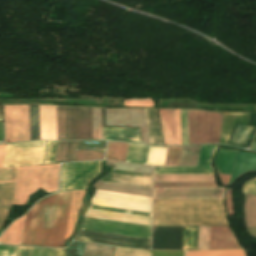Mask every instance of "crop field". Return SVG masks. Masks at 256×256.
Segmentation results:
<instances>
[{"instance_id":"crop-field-1","label":"crop field","mask_w":256,"mask_h":256,"mask_svg":"<svg viewBox=\"0 0 256 256\" xmlns=\"http://www.w3.org/2000/svg\"><path fill=\"white\" fill-rule=\"evenodd\" d=\"M72 191L39 200L27 213L21 245L63 247Z\"/></svg>"},{"instance_id":"crop-field-2","label":"crop field","mask_w":256,"mask_h":256,"mask_svg":"<svg viewBox=\"0 0 256 256\" xmlns=\"http://www.w3.org/2000/svg\"><path fill=\"white\" fill-rule=\"evenodd\" d=\"M229 225L223 199H154L153 226Z\"/></svg>"},{"instance_id":"crop-field-3","label":"crop field","mask_w":256,"mask_h":256,"mask_svg":"<svg viewBox=\"0 0 256 256\" xmlns=\"http://www.w3.org/2000/svg\"><path fill=\"white\" fill-rule=\"evenodd\" d=\"M60 164L16 167L13 204H26L30 194L40 187L57 191Z\"/></svg>"},{"instance_id":"crop-field-4","label":"crop field","mask_w":256,"mask_h":256,"mask_svg":"<svg viewBox=\"0 0 256 256\" xmlns=\"http://www.w3.org/2000/svg\"><path fill=\"white\" fill-rule=\"evenodd\" d=\"M58 140L93 139L92 108L56 106Z\"/></svg>"},{"instance_id":"crop-field-5","label":"crop field","mask_w":256,"mask_h":256,"mask_svg":"<svg viewBox=\"0 0 256 256\" xmlns=\"http://www.w3.org/2000/svg\"><path fill=\"white\" fill-rule=\"evenodd\" d=\"M189 144L220 143L222 113L187 110Z\"/></svg>"},{"instance_id":"crop-field-6","label":"crop field","mask_w":256,"mask_h":256,"mask_svg":"<svg viewBox=\"0 0 256 256\" xmlns=\"http://www.w3.org/2000/svg\"><path fill=\"white\" fill-rule=\"evenodd\" d=\"M101 173V161L62 164L60 190L85 189Z\"/></svg>"},{"instance_id":"crop-field-7","label":"crop field","mask_w":256,"mask_h":256,"mask_svg":"<svg viewBox=\"0 0 256 256\" xmlns=\"http://www.w3.org/2000/svg\"><path fill=\"white\" fill-rule=\"evenodd\" d=\"M5 142L30 140L28 105L3 106Z\"/></svg>"},{"instance_id":"crop-field-8","label":"crop field","mask_w":256,"mask_h":256,"mask_svg":"<svg viewBox=\"0 0 256 256\" xmlns=\"http://www.w3.org/2000/svg\"><path fill=\"white\" fill-rule=\"evenodd\" d=\"M45 141L8 144L3 166L41 164Z\"/></svg>"},{"instance_id":"crop-field-9","label":"crop field","mask_w":256,"mask_h":256,"mask_svg":"<svg viewBox=\"0 0 256 256\" xmlns=\"http://www.w3.org/2000/svg\"><path fill=\"white\" fill-rule=\"evenodd\" d=\"M106 126L141 127L143 143L149 144L144 109H106Z\"/></svg>"},{"instance_id":"crop-field-10","label":"crop field","mask_w":256,"mask_h":256,"mask_svg":"<svg viewBox=\"0 0 256 256\" xmlns=\"http://www.w3.org/2000/svg\"><path fill=\"white\" fill-rule=\"evenodd\" d=\"M82 229L150 239L151 227L85 218Z\"/></svg>"},{"instance_id":"crop-field-11","label":"crop field","mask_w":256,"mask_h":256,"mask_svg":"<svg viewBox=\"0 0 256 256\" xmlns=\"http://www.w3.org/2000/svg\"><path fill=\"white\" fill-rule=\"evenodd\" d=\"M79 241L150 249V240L82 230L75 238Z\"/></svg>"},{"instance_id":"crop-field-12","label":"crop field","mask_w":256,"mask_h":256,"mask_svg":"<svg viewBox=\"0 0 256 256\" xmlns=\"http://www.w3.org/2000/svg\"><path fill=\"white\" fill-rule=\"evenodd\" d=\"M218 146H201L197 167H155V174L215 173L211 161Z\"/></svg>"},{"instance_id":"crop-field-13","label":"crop field","mask_w":256,"mask_h":256,"mask_svg":"<svg viewBox=\"0 0 256 256\" xmlns=\"http://www.w3.org/2000/svg\"><path fill=\"white\" fill-rule=\"evenodd\" d=\"M224 188L154 189V198H223Z\"/></svg>"},{"instance_id":"crop-field-14","label":"crop field","mask_w":256,"mask_h":256,"mask_svg":"<svg viewBox=\"0 0 256 256\" xmlns=\"http://www.w3.org/2000/svg\"><path fill=\"white\" fill-rule=\"evenodd\" d=\"M100 180L152 188L153 175L112 170Z\"/></svg>"},{"instance_id":"crop-field-15","label":"crop field","mask_w":256,"mask_h":256,"mask_svg":"<svg viewBox=\"0 0 256 256\" xmlns=\"http://www.w3.org/2000/svg\"><path fill=\"white\" fill-rule=\"evenodd\" d=\"M91 204L107 207L151 212L152 203L94 195Z\"/></svg>"},{"instance_id":"crop-field-16","label":"crop field","mask_w":256,"mask_h":256,"mask_svg":"<svg viewBox=\"0 0 256 256\" xmlns=\"http://www.w3.org/2000/svg\"><path fill=\"white\" fill-rule=\"evenodd\" d=\"M41 139L57 140L55 106L39 105Z\"/></svg>"},{"instance_id":"crop-field-17","label":"crop field","mask_w":256,"mask_h":256,"mask_svg":"<svg viewBox=\"0 0 256 256\" xmlns=\"http://www.w3.org/2000/svg\"><path fill=\"white\" fill-rule=\"evenodd\" d=\"M85 217L151 226V218L88 209Z\"/></svg>"},{"instance_id":"crop-field-18","label":"crop field","mask_w":256,"mask_h":256,"mask_svg":"<svg viewBox=\"0 0 256 256\" xmlns=\"http://www.w3.org/2000/svg\"><path fill=\"white\" fill-rule=\"evenodd\" d=\"M242 248L229 227H210V249Z\"/></svg>"},{"instance_id":"crop-field-19","label":"crop field","mask_w":256,"mask_h":256,"mask_svg":"<svg viewBox=\"0 0 256 256\" xmlns=\"http://www.w3.org/2000/svg\"><path fill=\"white\" fill-rule=\"evenodd\" d=\"M165 144H177L175 109H158Z\"/></svg>"},{"instance_id":"crop-field-20","label":"crop field","mask_w":256,"mask_h":256,"mask_svg":"<svg viewBox=\"0 0 256 256\" xmlns=\"http://www.w3.org/2000/svg\"><path fill=\"white\" fill-rule=\"evenodd\" d=\"M103 140L142 143L140 129L103 128Z\"/></svg>"},{"instance_id":"crop-field-21","label":"crop field","mask_w":256,"mask_h":256,"mask_svg":"<svg viewBox=\"0 0 256 256\" xmlns=\"http://www.w3.org/2000/svg\"><path fill=\"white\" fill-rule=\"evenodd\" d=\"M96 189L152 197V189L98 181Z\"/></svg>"},{"instance_id":"crop-field-22","label":"crop field","mask_w":256,"mask_h":256,"mask_svg":"<svg viewBox=\"0 0 256 256\" xmlns=\"http://www.w3.org/2000/svg\"><path fill=\"white\" fill-rule=\"evenodd\" d=\"M14 183L0 184V228L12 206Z\"/></svg>"},{"instance_id":"crop-field-23","label":"crop field","mask_w":256,"mask_h":256,"mask_svg":"<svg viewBox=\"0 0 256 256\" xmlns=\"http://www.w3.org/2000/svg\"><path fill=\"white\" fill-rule=\"evenodd\" d=\"M149 141L151 145H162L161 133L155 109H145Z\"/></svg>"},{"instance_id":"crop-field-24","label":"crop field","mask_w":256,"mask_h":256,"mask_svg":"<svg viewBox=\"0 0 256 256\" xmlns=\"http://www.w3.org/2000/svg\"><path fill=\"white\" fill-rule=\"evenodd\" d=\"M24 217L25 215L10 225V227L0 237V242H3L4 244L20 245Z\"/></svg>"},{"instance_id":"crop-field-25","label":"crop field","mask_w":256,"mask_h":256,"mask_svg":"<svg viewBox=\"0 0 256 256\" xmlns=\"http://www.w3.org/2000/svg\"><path fill=\"white\" fill-rule=\"evenodd\" d=\"M84 193V190L73 191L65 240L69 238L73 232L78 210L82 205L81 198Z\"/></svg>"},{"instance_id":"crop-field-26","label":"crop field","mask_w":256,"mask_h":256,"mask_svg":"<svg viewBox=\"0 0 256 256\" xmlns=\"http://www.w3.org/2000/svg\"><path fill=\"white\" fill-rule=\"evenodd\" d=\"M185 251H139L126 248H116L114 256H184Z\"/></svg>"},{"instance_id":"crop-field-27","label":"crop field","mask_w":256,"mask_h":256,"mask_svg":"<svg viewBox=\"0 0 256 256\" xmlns=\"http://www.w3.org/2000/svg\"><path fill=\"white\" fill-rule=\"evenodd\" d=\"M154 181H215L213 174L155 175Z\"/></svg>"},{"instance_id":"crop-field-28","label":"crop field","mask_w":256,"mask_h":256,"mask_svg":"<svg viewBox=\"0 0 256 256\" xmlns=\"http://www.w3.org/2000/svg\"><path fill=\"white\" fill-rule=\"evenodd\" d=\"M149 147L129 143L126 162L145 165Z\"/></svg>"},{"instance_id":"crop-field-29","label":"crop field","mask_w":256,"mask_h":256,"mask_svg":"<svg viewBox=\"0 0 256 256\" xmlns=\"http://www.w3.org/2000/svg\"><path fill=\"white\" fill-rule=\"evenodd\" d=\"M76 143L59 141L55 163L73 161Z\"/></svg>"},{"instance_id":"crop-field-30","label":"crop field","mask_w":256,"mask_h":256,"mask_svg":"<svg viewBox=\"0 0 256 256\" xmlns=\"http://www.w3.org/2000/svg\"><path fill=\"white\" fill-rule=\"evenodd\" d=\"M128 143L108 142L105 159L125 162Z\"/></svg>"},{"instance_id":"crop-field-31","label":"crop field","mask_w":256,"mask_h":256,"mask_svg":"<svg viewBox=\"0 0 256 256\" xmlns=\"http://www.w3.org/2000/svg\"><path fill=\"white\" fill-rule=\"evenodd\" d=\"M217 187L215 182H154V188Z\"/></svg>"},{"instance_id":"crop-field-32","label":"crop field","mask_w":256,"mask_h":256,"mask_svg":"<svg viewBox=\"0 0 256 256\" xmlns=\"http://www.w3.org/2000/svg\"><path fill=\"white\" fill-rule=\"evenodd\" d=\"M167 147H150L146 165L164 166Z\"/></svg>"},{"instance_id":"crop-field-33","label":"crop field","mask_w":256,"mask_h":256,"mask_svg":"<svg viewBox=\"0 0 256 256\" xmlns=\"http://www.w3.org/2000/svg\"><path fill=\"white\" fill-rule=\"evenodd\" d=\"M186 256H245L242 249L216 251H187Z\"/></svg>"},{"instance_id":"crop-field-34","label":"crop field","mask_w":256,"mask_h":256,"mask_svg":"<svg viewBox=\"0 0 256 256\" xmlns=\"http://www.w3.org/2000/svg\"><path fill=\"white\" fill-rule=\"evenodd\" d=\"M198 227H184L183 250L197 249Z\"/></svg>"},{"instance_id":"crop-field-35","label":"crop field","mask_w":256,"mask_h":256,"mask_svg":"<svg viewBox=\"0 0 256 256\" xmlns=\"http://www.w3.org/2000/svg\"><path fill=\"white\" fill-rule=\"evenodd\" d=\"M113 248L111 246L87 243L83 256H112Z\"/></svg>"},{"instance_id":"crop-field-36","label":"crop field","mask_w":256,"mask_h":256,"mask_svg":"<svg viewBox=\"0 0 256 256\" xmlns=\"http://www.w3.org/2000/svg\"><path fill=\"white\" fill-rule=\"evenodd\" d=\"M31 140L40 139L38 105H29Z\"/></svg>"},{"instance_id":"crop-field-37","label":"crop field","mask_w":256,"mask_h":256,"mask_svg":"<svg viewBox=\"0 0 256 256\" xmlns=\"http://www.w3.org/2000/svg\"><path fill=\"white\" fill-rule=\"evenodd\" d=\"M200 147H183L180 166L196 165Z\"/></svg>"},{"instance_id":"crop-field-38","label":"crop field","mask_w":256,"mask_h":256,"mask_svg":"<svg viewBox=\"0 0 256 256\" xmlns=\"http://www.w3.org/2000/svg\"><path fill=\"white\" fill-rule=\"evenodd\" d=\"M106 163L107 165H115L113 169H117V170L153 174V167H149V166H141V165H133V164H125V163H117V162H109V161H106Z\"/></svg>"},{"instance_id":"crop-field-39","label":"crop field","mask_w":256,"mask_h":256,"mask_svg":"<svg viewBox=\"0 0 256 256\" xmlns=\"http://www.w3.org/2000/svg\"><path fill=\"white\" fill-rule=\"evenodd\" d=\"M58 141H46L42 164L54 163Z\"/></svg>"},{"instance_id":"crop-field-40","label":"crop field","mask_w":256,"mask_h":256,"mask_svg":"<svg viewBox=\"0 0 256 256\" xmlns=\"http://www.w3.org/2000/svg\"><path fill=\"white\" fill-rule=\"evenodd\" d=\"M182 147H168L165 166H179Z\"/></svg>"},{"instance_id":"crop-field-41","label":"crop field","mask_w":256,"mask_h":256,"mask_svg":"<svg viewBox=\"0 0 256 256\" xmlns=\"http://www.w3.org/2000/svg\"><path fill=\"white\" fill-rule=\"evenodd\" d=\"M94 139L102 140L101 108H93Z\"/></svg>"},{"instance_id":"crop-field-42","label":"crop field","mask_w":256,"mask_h":256,"mask_svg":"<svg viewBox=\"0 0 256 256\" xmlns=\"http://www.w3.org/2000/svg\"><path fill=\"white\" fill-rule=\"evenodd\" d=\"M66 250L34 247L33 256H65Z\"/></svg>"},{"instance_id":"crop-field-43","label":"crop field","mask_w":256,"mask_h":256,"mask_svg":"<svg viewBox=\"0 0 256 256\" xmlns=\"http://www.w3.org/2000/svg\"><path fill=\"white\" fill-rule=\"evenodd\" d=\"M105 152L77 151L74 161L103 159Z\"/></svg>"},{"instance_id":"crop-field-44","label":"crop field","mask_w":256,"mask_h":256,"mask_svg":"<svg viewBox=\"0 0 256 256\" xmlns=\"http://www.w3.org/2000/svg\"><path fill=\"white\" fill-rule=\"evenodd\" d=\"M198 249H209V227H199Z\"/></svg>"},{"instance_id":"crop-field-45","label":"crop field","mask_w":256,"mask_h":256,"mask_svg":"<svg viewBox=\"0 0 256 256\" xmlns=\"http://www.w3.org/2000/svg\"><path fill=\"white\" fill-rule=\"evenodd\" d=\"M95 194L152 202V198L96 190Z\"/></svg>"},{"instance_id":"crop-field-46","label":"crop field","mask_w":256,"mask_h":256,"mask_svg":"<svg viewBox=\"0 0 256 256\" xmlns=\"http://www.w3.org/2000/svg\"><path fill=\"white\" fill-rule=\"evenodd\" d=\"M15 167L0 169V183L14 182Z\"/></svg>"},{"instance_id":"crop-field-47","label":"crop field","mask_w":256,"mask_h":256,"mask_svg":"<svg viewBox=\"0 0 256 256\" xmlns=\"http://www.w3.org/2000/svg\"><path fill=\"white\" fill-rule=\"evenodd\" d=\"M125 106L153 107L154 103L151 99H131V100H125Z\"/></svg>"},{"instance_id":"crop-field-48","label":"crop field","mask_w":256,"mask_h":256,"mask_svg":"<svg viewBox=\"0 0 256 256\" xmlns=\"http://www.w3.org/2000/svg\"><path fill=\"white\" fill-rule=\"evenodd\" d=\"M90 208L151 217V214H148V213H141V212H135V211L121 210V209H113V208H105V207H97V206H92V205L90 206Z\"/></svg>"},{"instance_id":"crop-field-49","label":"crop field","mask_w":256,"mask_h":256,"mask_svg":"<svg viewBox=\"0 0 256 256\" xmlns=\"http://www.w3.org/2000/svg\"><path fill=\"white\" fill-rule=\"evenodd\" d=\"M183 144H188L186 110H181Z\"/></svg>"},{"instance_id":"crop-field-50","label":"crop field","mask_w":256,"mask_h":256,"mask_svg":"<svg viewBox=\"0 0 256 256\" xmlns=\"http://www.w3.org/2000/svg\"><path fill=\"white\" fill-rule=\"evenodd\" d=\"M17 246L0 245V256H15Z\"/></svg>"},{"instance_id":"crop-field-51","label":"crop field","mask_w":256,"mask_h":256,"mask_svg":"<svg viewBox=\"0 0 256 256\" xmlns=\"http://www.w3.org/2000/svg\"><path fill=\"white\" fill-rule=\"evenodd\" d=\"M243 192L249 194H256V178L244 184Z\"/></svg>"},{"instance_id":"crop-field-52","label":"crop field","mask_w":256,"mask_h":256,"mask_svg":"<svg viewBox=\"0 0 256 256\" xmlns=\"http://www.w3.org/2000/svg\"><path fill=\"white\" fill-rule=\"evenodd\" d=\"M33 247L18 246L16 256H32Z\"/></svg>"},{"instance_id":"crop-field-53","label":"crop field","mask_w":256,"mask_h":256,"mask_svg":"<svg viewBox=\"0 0 256 256\" xmlns=\"http://www.w3.org/2000/svg\"><path fill=\"white\" fill-rule=\"evenodd\" d=\"M178 144H182L180 110L176 109Z\"/></svg>"},{"instance_id":"crop-field-54","label":"crop field","mask_w":256,"mask_h":256,"mask_svg":"<svg viewBox=\"0 0 256 256\" xmlns=\"http://www.w3.org/2000/svg\"><path fill=\"white\" fill-rule=\"evenodd\" d=\"M231 193H232V190H227L226 207H227V213H228L229 216L233 215Z\"/></svg>"},{"instance_id":"crop-field-55","label":"crop field","mask_w":256,"mask_h":256,"mask_svg":"<svg viewBox=\"0 0 256 256\" xmlns=\"http://www.w3.org/2000/svg\"><path fill=\"white\" fill-rule=\"evenodd\" d=\"M6 146H7V144L0 145V166H2V164H3Z\"/></svg>"},{"instance_id":"crop-field-56","label":"crop field","mask_w":256,"mask_h":256,"mask_svg":"<svg viewBox=\"0 0 256 256\" xmlns=\"http://www.w3.org/2000/svg\"><path fill=\"white\" fill-rule=\"evenodd\" d=\"M218 175H219V177H220V179L222 181L223 186L226 187L228 182H229L230 175H224V174H218Z\"/></svg>"},{"instance_id":"crop-field-57","label":"crop field","mask_w":256,"mask_h":256,"mask_svg":"<svg viewBox=\"0 0 256 256\" xmlns=\"http://www.w3.org/2000/svg\"><path fill=\"white\" fill-rule=\"evenodd\" d=\"M250 236L256 238V227H246Z\"/></svg>"},{"instance_id":"crop-field-58","label":"crop field","mask_w":256,"mask_h":256,"mask_svg":"<svg viewBox=\"0 0 256 256\" xmlns=\"http://www.w3.org/2000/svg\"><path fill=\"white\" fill-rule=\"evenodd\" d=\"M103 127H105V108H102Z\"/></svg>"},{"instance_id":"crop-field-59","label":"crop field","mask_w":256,"mask_h":256,"mask_svg":"<svg viewBox=\"0 0 256 256\" xmlns=\"http://www.w3.org/2000/svg\"><path fill=\"white\" fill-rule=\"evenodd\" d=\"M2 140V130H1V122H0V142Z\"/></svg>"},{"instance_id":"crop-field-60","label":"crop field","mask_w":256,"mask_h":256,"mask_svg":"<svg viewBox=\"0 0 256 256\" xmlns=\"http://www.w3.org/2000/svg\"><path fill=\"white\" fill-rule=\"evenodd\" d=\"M251 149H256V143H254Z\"/></svg>"}]
</instances>
